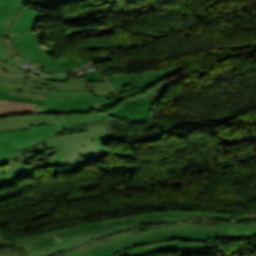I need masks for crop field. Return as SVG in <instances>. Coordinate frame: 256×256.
Wrapping results in <instances>:
<instances>
[{
	"instance_id": "8a807250",
	"label": "crop field",
	"mask_w": 256,
	"mask_h": 256,
	"mask_svg": "<svg viewBox=\"0 0 256 256\" xmlns=\"http://www.w3.org/2000/svg\"><path fill=\"white\" fill-rule=\"evenodd\" d=\"M229 215L192 211L149 212L58 229L14 241L4 239V236L0 234V245L15 243L17 248L23 247L25 256H49L116 232L141 228L143 224L167 223L193 218L227 219Z\"/></svg>"
},
{
	"instance_id": "ac0d7876",
	"label": "crop field",
	"mask_w": 256,
	"mask_h": 256,
	"mask_svg": "<svg viewBox=\"0 0 256 256\" xmlns=\"http://www.w3.org/2000/svg\"><path fill=\"white\" fill-rule=\"evenodd\" d=\"M67 116L69 124L86 122L90 131L40 140L45 150L27 154L25 157L37 156L54 148L57 155L51 157L53 161L46 165L63 166L81 164L108 153L103 145L110 142L107 129L112 118L101 114Z\"/></svg>"
},
{
	"instance_id": "34b2d1b8",
	"label": "crop field",
	"mask_w": 256,
	"mask_h": 256,
	"mask_svg": "<svg viewBox=\"0 0 256 256\" xmlns=\"http://www.w3.org/2000/svg\"><path fill=\"white\" fill-rule=\"evenodd\" d=\"M28 131L0 133V163L24 157V154L42 150L38 139L54 137L53 125L30 127Z\"/></svg>"
},
{
	"instance_id": "412701ff",
	"label": "crop field",
	"mask_w": 256,
	"mask_h": 256,
	"mask_svg": "<svg viewBox=\"0 0 256 256\" xmlns=\"http://www.w3.org/2000/svg\"><path fill=\"white\" fill-rule=\"evenodd\" d=\"M39 17V13L19 1L7 0L0 8V36L31 32Z\"/></svg>"
},
{
	"instance_id": "f4fd0767",
	"label": "crop field",
	"mask_w": 256,
	"mask_h": 256,
	"mask_svg": "<svg viewBox=\"0 0 256 256\" xmlns=\"http://www.w3.org/2000/svg\"><path fill=\"white\" fill-rule=\"evenodd\" d=\"M182 238L185 240L197 241V242H210L216 239H226L217 230L208 231H194V232H183V233H169L152 236L149 238H143L116 246H112L106 249L95 251L92 253L80 255V256H113L115 253L131 249L137 246L152 244L156 242L171 241L174 239Z\"/></svg>"
},
{
	"instance_id": "dd49c442",
	"label": "crop field",
	"mask_w": 256,
	"mask_h": 256,
	"mask_svg": "<svg viewBox=\"0 0 256 256\" xmlns=\"http://www.w3.org/2000/svg\"><path fill=\"white\" fill-rule=\"evenodd\" d=\"M183 68L184 66L181 65L161 71H152V73L140 72L127 75L110 76L106 78L114 88L115 92L119 95L137 87L145 90L162 79L176 75L178 72L183 70Z\"/></svg>"
},
{
	"instance_id": "e52e79f7",
	"label": "crop field",
	"mask_w": 256,
	"mask_h": 256,
	"mask_svg": "<svg viewBox=\"0 0 256 256\" xmlns=\"http://www.w3.org/2000/svg\"><path fill=\"white\" fill-rule=\"evenodd\" d=\"M208 229H211V228H209L203 224H177V225H172V226L147 229V230H142V231L132 232V233H128V234H124V235H120V236L111 237L106 240L93 243L84 248H81L79 250H76L74 252L67 253V254H64L61 256H70V255H74V254H78V253H82V252H86V251H90V250L100 249V248H103L106 246L109 247V246L116 245L119 243L131 241V240H135V239H139V238H143V237H148V236H152V235H156V234H161V233L193 231V230H208ZM227 240L230 241L231 239L227 238Z\"/></svg>"
},
{
	"instance_id": "d8731c3e",
	"label": "crop field",
	"mask_w": 256,
	"mask_h": 256,
	"mask_svg": "<svg viewBox=\"0 0 256 256\" xmlns=\"http://www.w3.org/2000/svg\"><path fill=\"white\" fill-rule=\"evenodd\" d=\"M50 86L41 85L20 76L0 73V88L8 90L7 94L45 100Z\"/></svg>"
},
{
	"instance_id": "5a996713",
	"label": "crop field",
	"mask_w": 256,
	"mask_h": 256,
	"mask_svg": "<svg viewBox=\"0 0 256 256\" xmlns=\"http://www.w3.org/2000/svg\"><path fill=\"white\" fill-rule=\"evenodd\" d=\"M177 241V242H175ZM219 245L209 243H196L185 241L182 239L174 240L171 242L156 243L152 245L141 246L128 251L121 252L115 256H144L154 251H178V252H191L202 249L217 248Z\"/></svg>"
},
{
	"instance_id": "3316defc",
	"label": "crop field",
	"mask_w": 256,
	"mask_h": 256,
	"mask_svg": "<svg viewBox=\"0 0 256 256\" xmlns=\"http://www.w3.org/2000/svg\"><path fill=\"white\" fill-rule=\"evenodd\" d=\"M10 41L13 45H15L17 48H19L21 51L18 52L17 54H15L16 56L30 62H37L39 63L41 66L48 68L51 70L50 74H56V73H62V72H66L74 67L80 66V65H84L86 63H88L91 60H79V59H66V58H62L60 57V59L56 62V64L54 65V67H50L49 65H47L46 63L40 61L26 46V43L22 37V35H14L10 37Z\"/></svg>"
},
{
	"instance_id": "28ad6ade",
	"label": "crop field",
	"mask_w": 256,
	"mask_h": 256,
	"mask_svg": "<svg viewBox=\"0 0 256 256\" xmlns=\"http://www.w3.org/2000/svg\"><path fill=\"white\" fill-rule=\"evenodd\" d=\"M33 81L51 85L49 91H80V90H88L97 91L103 89H109L110 86L107 84L106 81L103 82H96V83H89L85 84L84 78H76V79H69L68 81L64 82H53V81H46L39 78H35Z\"/></svg>"
},
{
	"instance_id": "d1516ede",
	"label": "crop field",
	"mask_w": 256,
	"mask_h": 256,
	"mask_svg": "<svg viewBox=\"0 0 256 256\" xmlns=\"http://www.w3.org/2000/svg\"><path fill=\"white\" fill-rule=\"evenodd\" d=\"M213 227H217L223 231L224 234L233 239H248L251 240L256 237V223L255 224H236L220 221H200Z\"/></svg>"
},
{
	"instance_id": "22f410ed",
	"label": "crop field",
	"mask_w": 256,
	"mask_h": 256,
	"mask_svg": "<svg viewBox=\"0 0 256 256\" xmlns=\"http://www.w3.org/2000/svg\"><path fill=\"white\" fill-rule=\"evenodd\" d=\"M32 175L27 159L13 162L7 168L0 169V188L9 186L14 180Z\"/></svg>"
},
{
	"instance_id": "cbeb9de0",
	"label": "crop field",
	"mask_w": 256,
	"mask_h": 256,
	"mask_svg": "<svg viewBox=\"0 0 256 256\" xmlns=\"http://www.w3.org/2000/svg\"><path fill=\"white\" fill-rule=\"evenodd\" d=\"M0 67L13 73L21 74L26 77H33L30 73L22 71V65L6 46V38L0 37Z\"/></svg>"
},
{
	"instance_id": "5142ce71",
	"label": "crop field",
	"mask_w": 256,
	"mask_h": 256,
	"mask_svg": "<svg viewBox=\"0 0 256 256\" xmlns=\"http://www.w3.org/2000/svg\"><path fill=\"white\" fill-rule=\"evenodd\" d=\"M53 124L52 120L25 123L23 116L0 119V132L11 130H27L29 126Z\"/></svg>"
},
{
	"instance_id": "d9b57169",
	"label": "crop field",
	"mask_w": 256,
	"mask_h": 256,
	"mask_svg": "<svg viewBox=\"0 0 256 256\" xmlns=\"http://www.w3.org/2000/svg\"><path fill=\"white\" fill-rule=\"evenodd\" d=\"M35 105L0 100V115L33 112Z\"/></svg>"
},
{
	"instance_id": "733c2abd",
	"label": "crop field",
	"mask_w": 256,
	"mask_h": 256,
	"mask_svg": "<svg viewBox=\"0 0 256 256\" xmlns=\"http://www.w3.org/2000/svg\"><path fill=\"white\" fill-rule=\"evenodd\" d=\"M28 48L42 61L46 62L53 67L56 61L52 60L44 50H42L37 42L36 34H24L23 35Z\"/></svg>"
},
{
	"instance_id": "4a817a6b",
	"label": "crop field",
	"mask_w": 256,
	"mask_h": 256,
	"mask_svg": "<svg viewBox=\"0 0 256 256\" xmlns=\"http://www.w3.org/2000/svg\"><path fill=\"white\" fill-rule=\"evenodd\" d=\"M24 118H25L26 122L53 119V122H54V125L56 128V132L70 130V128L68 126L66 115H61V116H52V115L24 116Z\"/></svg>"
},
{
	"instance_id": "bc2a9ffb",
	"label": "crop field",
	"mask_w": 256,
	"mask_h": 256,
	"mask_svg": "<svg viewBox=\"0 0 256 256\" xmlns=\"http://www.w3.org/2000/svg\"><path fill=\"white\" fill-rule=\"evenodd\" d=\"M19 1L24 4L31 3L41 8L47 9V8L56 7V6H66V5H70V4L77 3L84 0H19Z\"/></svg>"
},
{
	"instance_id": "214f88e0",
	"label": "crop field",
	"mask_w": 256,
	"mask_h": 256,
	"mask_svg": "<svg viewBox=\"0 0 256 256\" xmlns=\"http://www.w3.org/2000/svg\"><path fill=\"white\" fill-rule=\"evenodd\" d=\"M168 86H170V83H167L162 80L159 83H157L156 85L145 90L147 92L145 94V96H148V97L158 100L156 105L153 106L151 120L154 117L156 110L158 108L159 98L163 94V92L167 89Z\"/></svg>"
},
{
	"instance_id": "92a150f3",
	"label": "crop field",
	"mask_w": 256,
	"mask_h": 256,
	"mask_svg": "<svg viewBox=\"0 0 256 256\" xmlns=\"http://www.w3.org/2000/svg\"><path fill=\"white\" fill-rule=\"evenodd\" d=\"M6 92L7 91L0 89V99L14 101V102H22V103H37V104L44 103V101H40V100H33V99H27V98H22V97L6 95Z\"/></svg>"
},
{
	"instance_id": "dafd665d",
	"label": "crop field",
	"mask_w": 256,
	"mask_h": 256,
	"mask_svg": "<svg viewBox=\"0 0 256 256\" xmlns=\"http://www.w3.org/2000/svg\"><path fill=\"white\" fill-rule=\"evenodd\" d=\"M69 126L71 128V131L56 133L57 136L66 135V134H73V133H78V132H83V131H88L89 130L85 123L69 125Z\"/></svg>"
},
{
	"instance_id": "00972430",
	"label": "crop field",
	"mask_w": 256,
	"mask_h": 256,
	"mask_svg": "<svg viewBox=\"0 0 256 256\" xmlns=\"http://www.w3.org/2000/svg\"><path fill=\"white\" fill-rule=\"evenodd\" d=\"M228 219H234V220H242V221H254L256 220V217L245 219V217H239L231 214Z\"/></svg>"
},
{
	"instance_id": "a9b5d70f",
	"label": "crop field",
	"mask_w": 256,
	"mask_h": 256,
	"mask_svg": "<svg viewBox=\"0 0 256 256\" xmlns=\"http://www.w3.org/2000/svg\"><path fill=\"white\" fill-rule=\"evenodd\" d=\"M93 95L95 96H101V95H107V94H113V90L109 89V90H103V91H97V92H91Z\"/></svg>"
},
{
	"instance_id": "4177f3b9",
	"label": "crop field",
	"mask_w": 256,
	"mask_h": 256,
	"mask_svg": "<svg viewBox=\"0 0 256 256\" xmlns=\"http://www.w3.org/2000/svg\"><path fill=\"white\" fill-rule=\"evenodd\" d=\"M94 29H96V28H94ZM88 30H92V29L73 30V31H70L69 33H67L66 36H71V35L80 34V33H82V32L88 31Z\"/></svg>"
},
{
	"instance_id": "730fd06b",
	"label": "crop field",
	"mask_w": 256,
	"mask_h": 256,
	"mask_svg": "<svg viewBox=\"0 0 256 256\" xmlns=\"http://www.w3.org/2000/svg\"><path fill=\"white\" fill-rule=\"evenodd\" d=\"M6 0H0V7L3 5V3L5 2Z\"/></svg>"
}]
</instances>
